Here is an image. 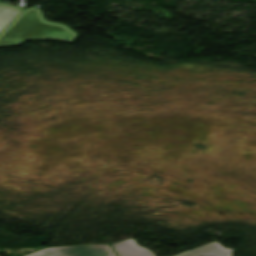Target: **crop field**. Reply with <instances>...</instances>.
Masks as SVG:
<instances>
[{"instance_id":"ac0d7876","label":"crop field","mask_w":256,"mask_h":256,"mask_svg":"<svg viewBox=\"0 0 256 256\" xmlns=\"http://www.w3.org/2000/svg\"><path fill=\"white\" fill-rule=\"evenodd\" d=\"M118 256H154L152 251L136 244L134 238L112 243ZM235 250L224 249L217 241L174 256H232Z\"/></svg>"},{"instance_id":"8a807250","label":"crop field","mask_w":256,"mask_h":256,"mask_svg":"<svg viewBox=\"0 0 256 256\" xmlns=\"http://www.w3.org/2000/svg\"><path fill=\"white\" fill-rule=\"evenodd\" d=\"M77 33L68 26L46 22L38 9H24L1 33L0 48L20 46L25 40L73 43Z\"/></svg>"},{"instance_id":"412701ff","label":"crop field","mask_w":256,"mask_h":256,"mask_svg":"<svg viewBox=\"0 0 256 256\" xmlns=\"http://www.w3.org/2000/svg\"><path fill=\"white\" fill-rule=\"evenodd\" d=\"M20 8L0 3V32L21 12Z\"/></svg>"},{"instance_id":"34b2d1b8","label":"crop field","mask_w":256,"mask_h":256,"mask_svg":"<svg viewBox=\"0 0 256 256\" xmlns=\"http://www.w3.org/2000/svg\"><path fill=\"white\" fill-rule=\"evenodd\" d=\"M26 256H116L109 245L46 248Z\"/></svg>"}]
</instances>
